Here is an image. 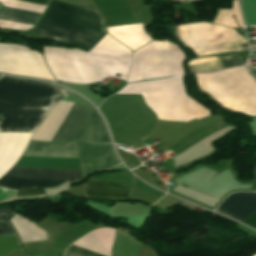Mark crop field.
<instances>
[{"label": "crop field", "mask_w": 256, "mask_h": 256, "mask_svg": "<svg viewBox=\"0 0 256 256\" xmlns=\"http://www.w3.org/2000/svg\"><path fill=\"white\" fill-rule=\"evenodd\" d=\"M69 93L40 82L2 77L0 133L30 139L48 109ZM4 134H0V178L17 162L29 141Z\"/></svg>", "instance_id": "1"}, {"label": "crop field", "mask_w": 256, "mask_h": 256, "mask_svg": "<svg viewBox=\"0 0 256 256\" xmlns=\"http://www.w3.org/2000/svg\"><path fill=\"white\" fill-rule=\"evenodd\" d=\"M44 16L104 30L100 14L58 0H51ZM44 16L33 34L88 49L105 34V30L100 31Z\"/></svg>", "instance_id": "2"}, {"label": "crop field", "mask_w": 256, "mask_h": 256, "mask_svg": "<svg viewBox=\"0 0 256 256\" xmlns=\"http://www.w3.org/2000/svg\"><path fill=\"white\" fill-rule=\"evenodd\" d=\"M72 105L73 103L70 102H59L50 108L32 139L51 141ZM88 111L89 108L74 103L52 141H71ZM72 141L110 142L98 112L90 109Z\"/></svg>", "instance_id": "3"}, {"label": "crop field", "mask_w": 256, "mask_h": 256, "mask_svg": "<svg viewBox=\"0 0 256 256\" xmlns=\"http://www.w3.org/2000/svg\"><path fill=\"white\" fill-rule=\"evenodd\" d=\"M24 155L31 157H76L77 153L75 142L37 143L29 141L24 151ZM7 174L31 178L60 180H73L81 177L80 170H46L15 166H13ZM8 175H4L0 179V186L16 189H28L54 187L65 182L60 180L30 179Z\"/></svg>", "instance_id": "4"}, {"label": "crop field", "mask_w": 256, "mask_h": 256, "mask_svg": "<svg viewBox=\"0 0 256 256\" xmlns=\"http://www.w3.org/2000/svg\"><path fill=\"white\" fill-rule=\"evenodd\" d=\"M196 80L201 90L209 93L221 105L256 115V83L246 73L245 66L213 74H198Z\"/></svg>", "instance_id": "5"}, {"label": "crop field", "mask_w": 256, "mask_h": 256, "mask_svg": "<svg viewBox=\"0 0 256 256\" xmlns=\"http://www.w3.org/2000/svg\"><path fill=\"white\" fill-rule=\"evenodd\" d=\"M180 40L197 56L241 50L245 42L234 30L207 22L177 26Z\"/></svg>", "instance_id": "6"}, {"label": "crop field", "mask_w": 256, "mask_h": 256, "mask_svg": "<svg viewBox=\"0 0 256 256\" xmlns=\"http://www.w3.org/2000/svg\"><path fill=\"white\" fill-rule=\"evenodd\" d=\"M0 71L55 81L40 54L17 45L0 44Z\"/></svg>", "instance_id": "7"}, {"label": "crop field", "mask_w": 256, "mask_h": 256, "mask_svg": "<svg viewBox=\"0 0 256 256\" xmlns=\"http://www.w3.org/2000/svg\"><path fill=\"white\" fill-rule=\"evenodd\" d=\"M82 177L120 163L111 144L76 143Z\"/></svg>", "instance_id": "8"}, {"label": "crop field", "mask_w": 256, "mask_h": 256, "mask_svg": "<svg viewBox=\"0 0 256 256\" xmlns=\"http://www.w3.org/2000/svg\"><path fill=\"white\" fill-rule=\"evenodd\" d=\"M182 58L176 45L163 41L162 65L144 67L143 79L184 73Z\"/></svg>", "instance_id": "9"}, {"label": "crop field", "mask_w": 256, "mask_h": 256, "mask_svg": "<svg viewBox=\"0 0 256 256\" xmlns=\"http://www.w3.org/2000/svg\"><path fill=\"white\" fill-rule=\"evenodd\" d=\"M162 42L152 41L133 52L127 81L142 79L143 66L161 64Z\"/></svg>", "instance_id": "10"}, {"label": "crop field", "mask_w": 256, "mask_h": 256, "mask_svg": "<svg viewBox=\"0 0 256 256\" xmlns=\"http://www.w3.org/2000/svg\"><path fill=\"white\" fill-rule=\"evenodd\" d=\"M239 221L256 211V193H234L215 210Z\"/></svg>", "instance_id": "11"}, {"label": "crop field", "mask_w": 256, "mask_h": 256, "mask_svg": "<svg viewBox=\"0 0 256 256\" xmlns=\"http://www.w3.org/2000/svg\"><path fill=\"white\" fill-rule=\"evenodd\" d=\"M190 73H206L226 69L243 62L239 55L195 58L187 62Z\"/></svg>", "instance_id": "12"}, {"label": "crop field", "mask_w": 256, "mask_h": 256, "mask_svg": "<svg viewBox=\"0 0 256 256\" xmlns=\"http://www.w3.org/2000/svg\"><path fill=\"white\" fill-rule=\"evenodd\" d=\"M25 1H32L38 3L47 4L49 0H25ZM43 12L11 7V6H3L0 11V20L11 21V22H18V23H25L35 25L39 17Z\"/></svg>", "instance_id": "13"}, {"label": "crop field", "mask_w": 256, "mask_h": 256, "mask_svg": "<svg viewBox=\"0 0 256 256\" xmlns=\"http://www.w3.org/2000/svg\"><path fill=\"white\" fill-rule=\"evenodd\" d=\"M129 191V187L92 179L89 180L86 189L87 195L116 198H127Z\"/></svg>", "instance_id": "14"}, {"label": "crop field", "mask_w": 256, "mask_h": 256, "mask_svg": "<svg viewBox=\"0 0 256 256\" xmlns=\"http://www.w3.org/2000/svg\"><path fill=\"white\" fill-rule=\"evenodd\" d=\"M18 233L22 243L35 240H46L47 234L41 229L25 220L24 218L14 215L10 220Z\"/></svg>", "instance_id": "15"}, {"label": "crop field", "mask_w": 256, "mask_h": 256, "mask_svg": "<svg viewBox=\"0 0 256 256\" xmlns=\"http://www.w3.org/2000/svg\"><path fill=\"white\" fill-rule=\"evenodd\" d=\"M240 28L243 27L241 14L238 6V1L235 0L233 3V10H219L218 15L214 21V24L225 25L231 28H238L234 20V17Z\"/></svg>", "instance_id": "16"}, {"label": "crop field", "mask_w": 256, "mask_h": 256, "mask_svg": "<svg viewBox=\"0 0 256 256\" xmlns=\"http://www.w3.org/2000/svg\"><path fill=\"white\" fill-rule=\"evenodd\" d=\"M244 23L256 22V0H239Z\"/></svg>", "instance_id": "17"}, {"label": "crop field", "mask_w": 256, "mask_h": 256, "mask_svg": "<svg viewBox=\"0 0 256 256\" xmlns=\"http://www.w3.org/2000/svg\"><path fill=\"white\" fill-rule=\"evenodd\" d=\"M21 249L16 236L0 237V256H7L14 250Z\"/></svg>", "instance_id": "18"}, {"label": "crop field", "mask_w": 256, "mask_h": 256, "mask_svg": "<svg viewBox=\"0 0 256 256\" xmlns=\"http://www.w3.org/2000/svg\"><path fill=\"white\" fill-rule=\"evenodd\" d=\"M11 214L10 209H0V235H15L6 220Z\"/></svg>", "instance_id": "19"}, {"label": "crop field", "mask_w": 256, "mask_h": 256, "mask_svg": "<svg viewBox=\"0 0 256 256\" xmlns=\"http://www.w3.org/2000/svg\"><path fill=\"white\" fill-rule=\"evenodd\" d=\"M44 195L42 189L18 191L16 197Z\"/></svg>", "instance_id": "20"}, {"label": "crop field", "mask_w": 256, "mask_h": 256, "mask_svg": "<svg viewBox=\"0 0 256 256\" xmlns=\"http://www.w3.org/2000/svg\"><path fill=\"white\" fill-rule=\"evenodd\" d=\"M243 223L256 228V212L243 221Z\"/></svg>", "instance_id": "21"}, {"label": "crop field", "mask_w": 256, "mask_h": 256, "mask_svg": "<svg viewBox=\"0 0 256 256\" xmlns=\"http://www.w3.org/2000/svg\"><path fill=\"white\" fill-rule=\"evenodd\" d=\"M69 249L75 250V251H77V252H80V253H83V254H86V255H89V256H101V255L92 253V252H90V251H87V250L78 248V247L73 246V245H71V246L69 247Z\"/></svg>", "instance_id": "22"}, {"label": "crop field", "mask_w": 256, "mask_h": 256, "mask_svg": "<svg viewBox=\"0 0 256 256\" xmlns=\"http://www.w3.org/2000/svg\"><path fill=\"white\" fill-rule=\"evenodd\" d=\"M64 256H86V255H83L68 249Z\"/></svg>", "instance_id": "23"}, {"label": "crop field", "mask_w": 256, "mask_h": 256, "mask_svg": "<svg viewBox=\"0 0 256 256\" xmlns=\"http://www.w3.org/2000/svg\"><path fill=\"white\" fill-rule=\"evenodd\" d=\"M248 68V72L253 76V78L256 80V69L255 68H252V67H249L247 66Z\"/></svg>", "instance_id": "24"}, {"label": "crop field", "mask_w": 256, "mask_h": 256, "mask_svg": "<svg viewBox=\"0 0 256 256\" xmlns=\"http://www.w3.org/2000/svg\"><path fill=\"white\" fill-rule=\"evenodd\" d=\"M172 1H190V0H172Z\"/></svg>", "instance_id": "25"}]
</instances>
